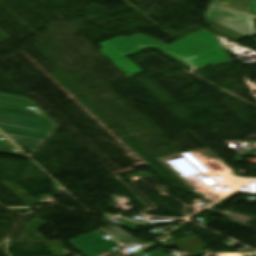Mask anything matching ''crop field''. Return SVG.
Returning <instances> with one entry per match:
<instances>
[{"label":"crop field","mask_w":256,"mask_h":256,"mask_svg":"<svg viewBox=\"0 0 256 256\" xmlns=\"http://www.w3.org/2000/svg\"><path fill=\"white\" fill-rule=\"evenodd\" d=\"M131 38L160 49L191 68L230 61L214 34L205 29L169 46L142 34Z\"/></svg>","instance_id":"crop-field-1"},{"label":"crop field","mask_w":256,"mask_h":256,"mask_svg":"<svg viewBox=\"0 0 256 256\" xmlns=\"http://www.w3.org/2000/svg\"><path fill=\"white\" fill-rule=\"evenodd\" d=\"M0 106L45 114L30 98L0 93ZM57 127L0 115V130L19 147L35 150Z\"/></svg>","instance_id":"crop-field-2"},{"label":"crop field","mask_w":256,"mask_h":256,"mask_svg":"<svg viewBox=\"0 0 256 256\" xmlns=\"http://www.w3.org/2000/svg\"><path fill=\"white\" fill-rule=\"evenodd\" d=\"M103 46L102 52L113 63H115L128 77H131L141 70L137 68L131 61L125 56L135 53L139 50L151 48L145 44L135 46L123 37L119 36L110 41H104L101 43Z\"/></svg>","instance_id":"crop-field-3"},{"label":"crop field","mask_w":256,"mask_h":256,"mask_svg":"<svg viewBox=\"0 0 256 256\" xmlns=\"http://www.w3.org/2000/svg\"><path fill=\"white\" fill-rule=\"evenodd\" d=\"M205 18L231 28L247 37L256 34L251 16L223 8L221 6L210 4Z\"/></svg>","instance_id":"crop-field-4"},{"label":"crop field","mask_w":256,"mask_h":256,"mask_svg":"<svg viewBox=\"0 0 256 256\" xmlns=\"http://www.w3.org/2000/svg\"><path fill=\"white\" fill-rule=\"evenodd\" d=\"M97 231L67 240L82 256H98L119 248L110 240H106Z\"/></svg>","instance_id":"crop-field-5"},{"label":"crop field","mask_w":256,"mask_h":256,"mask_svg":"<svg viewBox=\"0 0 256 256\" xmlns=\"http://www.w3.org/2000/svg\"><path fill=\"white\" fill-rule=\"evenodd\" d=\"M213 3L251 14L249 0H213Z\"/></svg>","instance_id":"crop-field-6"},{"label":"crop field","mask_w":256,"mask_h":256,"mask_svg":"<svg viewBox=\"0 0 256 256\" xmlns=\"http://www.w3.org/2000/svg\"><path fill=\"white\" fill-rule=\"evenodd\" d=\"M208 27L211 28L214 31V33H217L221 36H224V37L229 38L236 42H238L239 40H241L245 37L244 35H240L239 33L235 32L231 29L225 28L223 26H220L216 23H213V24L209 25Z\"/></svg>","instance_id":"crop-field-7"},{"label":"crop field","mask_w":256,"mask_h":256,"mask_svg":"<svg viewBox=\"0 0 256 256\" xmlns=\"http://www.w3.org/2000/svg\"><path fill=\"white\" fill-rule=\"evenodd\" d=\"M107 232L110 233L113 237H115L120 242H123L126 244L135 243L139 240V239H136V238L132 237L131 235L127 234L126 232H124L122 229H120L117 226H115L114 228H112L111 230H109Z\"/></svg>","instance_id":"crop-field-8"},{"label":"crop field","mask_w":256,"mask_h":256,"mask_svg":"<svg viewBox=\"0 0 256 256\" xmlns=\"http://www.w3.org/2000/svg\"><path fill=\"white\" fill-rule=\"evenodd\" d=\"M0 148L21 152L9 140H7L1 133H0Z\"/></svg>","instance_id":"crop-field-9"},{"label":"crop field","mask_w":256,"mask_h":256,"mask_svg":"<svg viewBox=\"0 0 256 256\" xmlns=\"http://www.w3.org/2000/svg\"><path fill=\"white\" fill-rule=\"evenodd\" d=\"M252 14L256 16V0H250Z\"/></svg>","instance_id":"crop-field-10"},{"label":"crop field","mask_w":256,"mask_h":256,"mask_svg":"<svg viewBox=\"0 0 256 256\" xmlns=\"http://www.w3.org/2000/svg\"><path fill=\"white\" fill-rule=\"evenodd\" d=\"M147 256H168L166 254H162V253H159L155 250H153L150 254H148Z\"/></svg>","instance_id":"crop-field-11"},{"label":"crop field","mask_w":256,"mask_h":256,"mask_svg":"<svg viewBox=\"0 0 256 256\" xmlns=\"http://www.w3.org/2000/svg\"><path fill=\"white\" fill-rule=\"evenodd\" d=\"M121 36H123V35H121ZM124 38H126L125 36H123ZM127 39V38H126ZM127 40H129L130 42H132L133 44H135V45H137V44H142V43H140V42H138V41H135V40H133V39H131V38H129V39H127Z\"/></svg>","instance_id":"crop-field-12"},{"label":"crop field","mask_w":256,"mask_h":256,"mask_svg":"<svg viewBox=\"0 0 256 256\" xmlns=\"http://www.w3.org/2000/svg\"><path fill=\"white\" fill-rule=\"evenodd\" d=\"M253 19H254V23H255V27H256V18L253 17ZM255 32H256V31H255Z\"/></svg>","instance_id":"crop-field-13"},{"label":"crop field","mask_w":256,"mask_h":256,"mask_svg":"<svg viewBox=\"0 0 256 256\" xmlns=\"http://www.w3.org/2000/svg\"><path fill=\"white\" fill-rule=\"evenodd\" d=\"M256 41V39H254Z\"/></svg>","instance_id":"crop-field-14"}]
</instances>
